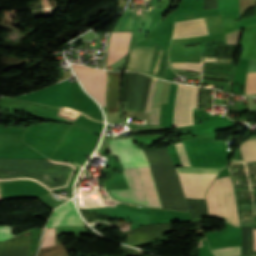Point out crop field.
Segmentation results:
<instances>
[{"label": "crop field", "instance_id": "4", "mask_svg": "<svg viewBox=\"0 0 256 256\" xmlns=\"http://www.w3.org/2000/svg\"><path fill=\"white\" fill-rule=\"evenodd\" d=\"M15 98L43 104L74 108L68 80L59 82L38 92L29 93Z\"/></svg>", "mask_w": 256, "mask_h": 256}, {"label": "crop field", "instance_id": "17", "mask_svg": "<svg viewBox=\"0 0 256 256\" xmlns=\"http://www.w3.org/2000/svg\"><path fill=\"white\" fill-rule=\"evenodd\" d=\"M52 245H54V231H53V228H50V229H46L44 233L41 248L52 246Z\"/></svg>", "mask_w": 256, "mask_h": 256}, {"label": "crop field", "instance_id": "1", "mask_svg": "<svg viewBox=\"0 0 256 256\" xmlns=\"http://www.w3.org/2000/svg\"><path fill=\"white\" fill-rule=\"evenodd\" d=\"M129 189L106 190L113 199L139 206L161 207L149 167L123 168Z\"/></svg>", "mask_w": 256, "mask_h": 256}, {"label": "crop field", "instance_id": "9", "mask_svg": "<svg viewBox=\"0 0 256 256\" xmlns=\"http://www.w3.org/2000/svg\"><path fill=\"white\" fill-rule=\"evenodd\" d=\"M130 35L131 33L128 32H112L109 43L107 66L127 54Z\"/></svg>", "mask_w": 256, "mask_h": 256}, {"label": "crop field", "instance_id": "11", "mask_svg": "<svg viewBox=\"0 0 256 256\" xmlns=\"http://www.w3.org/2000/svg\"><path fill=\"white\" fill-rule=\"evenodd\" d=\"M108 75L109 83L107 94V106L108 112H114L118 111L119 108L121 73L108 72Z\"/></svg>", "mask_w": 256, "mask_h": 256}, {"label": "crop field", "instance_id": "6", "mask_svg": "<svg viewBox=\"0 0 256 256\" xmlns=\"http://www.w3.org/2000/svg\"><path fill=\"white\" fill-rule=\"evenodd\" d=\"M84 88L102 105L105 106L106 72L72 65Z\"/></svg>", "mask_w": 256, "mask_h": 256}, {"label": "crop field", "instance_id": "2", "mask_svg": "<svg viewBox=\"0 0 256 256\" xmlns=\"http://www.w3.org/2000/svg\"><path fill=\"white\" fill-rule=\"evenodd\" d=\"M206 201L210 216H223L231 224L240 226L229 177L215 179L206 194Z\"/></svg>", "mask_w": 256, "mask_h": 256}, {"label": "crop field", "instance_id": "14", "mask_svg": "<svg viewBox=\"0 0 256 256\" xmlns=\"http://www.w3.org/2000/svg\"><path fill=\"white\" fill-rule=\"evenodd\" d=\"M243 160H256V140L244 142L240 145Z\"/></svg>", "mask_w": 256, "mask_h": 256}, {"label": "crop field", "instance_id": "12", "mask_svg": "<svg viewBox=\"0 0 256 256\" xmlns=\"http://www.w3.org/2000/svg\"><path fill=\"white\" fill-rule=\"evenodd\" d=\"M221 16L232 14L236 19L240 15V0H219Z\"/></svg>", "mask_w": 256, "mask_h": 256}, {"label": "crop field", "instance_id": "15", "mask_svg": "<svg viewBox=\"0 0 256 256\" xmlns=\"http://www.w3.org/2000/svg\"><path fill=\"white\" fill-rule=\"evenodd\" d=\"M214 255L216 256H239L240 246L230 247V248H221L213 249Z\"/></svg>", "mask_w": 256, "mask_h": 256}, {"label": "crop field", "instance_id": "19", "mask_svg": "<svg viewBox=\"0 0 256 256\" xmlns=\"http://www.w3.org/2000/svg\"><path fill=\"white\" fill-rule=\"evenodd\" d=\"M254 250H256V230H254Z\"/></svg>", "mask_w": 256, "mask_h": 256}, {"label": "crop field", "instance_id": "3", "mask_svg": "<svg viewBox=\"0 0 256 256\" xmlns=\"http://www.w3.org/2000/svg\"><path fill=\"white\" fill-rule=\"evenodd\" d=\"M179 178L214 179L218 169L175 167ZM186 197L204 198L213 180L180 179Z\"/></svg>", "mask_w": 256, "mask_h": 256}, {"label": "crop field", "instance_id": "8", "mask_svg": "<svg viewBox=\"0 0 256 256\" xmlns=\"http://www.w3.org/2000/svg\"><path fill=\"white\" fill-rule=\"evenodd\" d=\"M61 225L84 226L72 200L53 211L46 227H57Z\"/></svg>", "mask_w": 256, "mask_h": 256}, {"label": "crop field", "instance_id": "10", "mask_svg": "<svg viewBox=\"0 0 256 256\" xmlns=\"http://www.w3.org/2000/svg\"><path fill=\"white\" fill-rule=\"evenodd\" d=\"M153 49L154 47L134 46L129 55L127 68L148 73Z\"/></svg>", "mask_w": 256, "mask_h": 256}, {"label": "crop field", "instance_id": "20", "mask_svg": "<svg viewBox=\"0 0 256 256\" xmlns=\"http://www.w3.org/2000/svg\"><path fill=\"white\" fill-rule=\"evenodd\" d=\"M33 253H34V251H31V252H30V255H29V254H28V255H29V256H32V255H33ZM34 256H35V254H34Z\"/></svg>", "mask_w": 256, "mask_h": 256}, {"label": "crop field", "instance_id": "13", "mask_svg": "<svg viewBox=\"0 0 256 256\" xmlns=\"http://www.w3.org/2000/svg\"><path fill=\"white\" fill-rule=\"evenodd\" d=\"M156 80L157 79L155 78L152 80L149 97L144 112H151L150 123L159 124L160 108H151Z\"/></svg>", "mask_w": 256, "mask_h": 256}, {"label": "crop field", "instance_id": "18", "mask_svg": "<svg viewBox=\"0 0 256 256\" xmlns=\"http://www.w3.org/2000/svg\"><path fill=\"white\" fill-rule=\"evenodd\" d=\"M9 238H13L11 228L7 226L0 227V241Z\"/></svg>", "mask_w": 256, "mask_h": 256}, {"label": "crop field", "instance_id": "7", "mask_svg": "<svg viewBox=\"0 0 256 256\" xmlns=\"http://www.w3.org/2000/svg\"><path fill=\"white\" fill-rule=\"evenodd\" d=\"M112 155H117L123 167L149 166L141 149L130 139L109 140Z\"/></svg>", "mask_w": 256, "mask_h": 256}, {"label": "crop field", "instance_id": "21", "mask_svg": "<svg viewBox=\"0 0 256 256\" xmlns=\"http://www.w3.org/2000/svg\"><path fill=\"white\" fill-rule=\"evenodd\" d=\"M255 215H256V211H255Z\"/></svg>", "mask_w": 256, "mask_h": 256}, {"label": "crop field", "instance_id": "16", "mask_svg": "<svg viewBox=\"0 0 256 256\" xmlns=\"http://www.w3.org/2000/svg\"><path fill=\"white\" fill-rule=\"evenodd\" d=\"M245 94H256V73H248Z\"/></svg>", "mask_w": 256, "mask_h": 256}, {"label": "crop field", "instance_id": "5", "mask_svg": "<svg viewBox=\"0 0 256 256\" xmlns=\"http://www.w3.org/2000/svg\"><path fill=\"white\" fill-rule=\"evenodd\" d=\"M23 132L0 131V157L45 158L32 148L21 143Z\"/></svg>", "mask_w": 256, "mask_h": 256}]
</instances>
